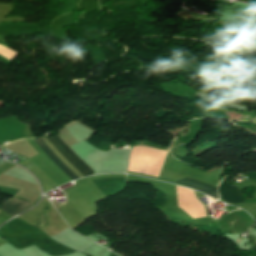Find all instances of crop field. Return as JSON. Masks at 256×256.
Returning a JSON list of instances; mask_svg holds the SVG:
<instances>
[{"label": "crop field", "mask_w": 256, "mask_h": 256, "mask_svg": "<svg viewBox=\"0 0 256 256\" xmlns=\"http://www.w3.org/2000/svg\"><path fill=\"white\" fill-rule=\"evenodd\" d=\"M219 193H220L221 199L228 201L230 203L244 202L241 199L242 194L238 191L235 185L230 186L224 180L221 182L219 186Z\"/></svg>", "instance_id": "crop-field-2"}, {"label": "crop field", "mask_w": 256, "mask_h": 256, "mask_svg": "<svg viewBox=\"0 0 256 256\" xmlns=\"http://www.w3.org/2000/svg\"><path fill=\"white\" fill-rule=\"evenodd\" d=\"M181 184H184V185H186V187L192 188V189L200 191L202 193H206V192H211V191L217 190L214 187H211L209 185L203 184V183L198 182L196 180H193L191 178L185 180Z\"/></svg>", "instance_id": "crop-field-4"}, {"label": "crop field", "mask_w": 256, "mask_h": 256, "mask_svg": "<svg viewBox=\"0 0 256 256\" xmlns=\"http://www.w3.org/2000/svg\"><path fill=\"white\" fill-rule=\"evenodd\" d=\"M31 205H33V204L23 201L18 198H12V200L10 202L1 205L0 208L13 217V216L19 214L20 212L24 211Z\"/></svg>", "instance_id": "crop-field-3"}, {"label": "crop field", "mask_w": 256, "mask_h": 256, "mask_svg": "<svg viewBox=\"0 0 256 256\" xmlns=\"http://www.w3.org/2000/svg\"><path fill=\"white\" fill-rule=\"evenodd\" d=\"M63 156L64 158L83 176H89L94 171L90 169L86 163L81 160L58 136L46 138ZM71 180L76 178L57 160V158L38 140H32Z\"/></svg>", "instance_id": "crop-field-1"}, {"label": "crop field", "mask_w": 256, "mask_h": 256, "mask_svg": "<svg viewBox=\"0 0 256 256\" xmlns=\"http://www.w3.org/2000/svg\"><path fill=\"white\" fill-rule=\"evenodd\" d=\"M240 241V238L238 239V242Z\"/></svg>", "instance_id": "crop-field-5"}]
</instances>
